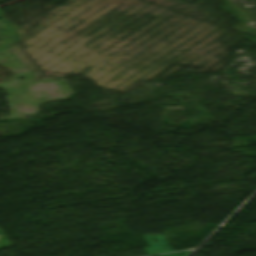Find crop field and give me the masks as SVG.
I'll return each mask as SVG.
<instances>
[{
    "label": "crop field",
    "mask_w": 256,
    "mask_h": 256,
    "mask_svg": "<svg viewBox=\"0 0 256 256\" xmlns=\"http://www.w3.org/2000/svg\"><path fill=\"white\" fill-rule=\"evenodd\" d=\"M0 238H1V235H0Z\"/></svg>",
    "instance_id": "crop-field-1"
}]
</instances>
